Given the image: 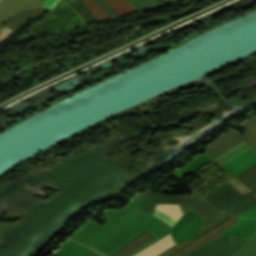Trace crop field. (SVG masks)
Wrapping results in <instances>:
<instances>
[{"label":"crop field","instance_id":"ac0d7876","mask_svg":"<svg viewBox=\"0 0 256 256\" xmlns=\"http://www.w3.org/2000/svg\"><path fill=\"white\" fill-rule=\"evenodd\" d=\"M179 205L182 210V213H185L191 208L198 211L204 222L220 213V211L215 210L210 204L205 202L203 199L193 194L180 196Z\"/></svg>","mask_w":256,"mask_h":256},{"label":"crop field","instance_id":"e52e79f7","mask_svg":"<svg viewBox=\"0 0 256 256\" xmlns=\"http://www.w3.org/2000/svg\"><path fill=\"white\" fill-rule=\"evenodd\" d=\"M238 215H242V216H245V217H248V218H254L256 219V206L249 209V210H246Z\"/></svg>","mask_w":256,"mask_h":256},{"label":"crop field","instance_id":"34b2d1b8","mask_svg":"<svg viewBox=\"0 0 256 256\" xmlns=\"http://www.w3.org/2000/svg\"><path fill=\"white\" fill-rule=\"evenodd\" d=\"M165 237V236H164ZM160 240V239H159ZM191 241H188V240H183L181 242H179L178 244L177 243H174L173 239L171 238L170 234H168L165 238L161 239L160 241L158 242H154L155 244L145 248L144 250L140 251L139 253L135 254L134 256H158L161 254L160 256H169L171 253H173L174 251H176L177 249H179L180 247L186 245L187 243H189ZM181 249V248H180Z\"/></svg>","mask_w":256,"mask_h":256},{"label":"crop field","instance_id":"d8731c3e","mask_svg":"<svg viewBox=\"0 0 256 256\" xmlns=\"http://www.w3.org/2000/svg\"><path fill=\"white\" fill-rule=\"evenodd\" d=\"M247 219L246 218H243L241 220H239L233 227H231L230 229L226 230L225 232H223L222 234H220L219 237H221L222 235L228 233V232H231L235 229H237L242 223H244Z\"/></svg>","mask_w":256,"mask_h":256},{"label":"crop field","instance_id":"8a807250","mask_svg":"<svg viewBox=\"0 0 256 256\" xmlns=\"http://www.w3.org/2000/svg\"><path fill=\"white\" fill-rule=\"evenodd\" d=\"M242 125L246 129L244 138L239 133L230 130L212 143L205 153L215 159L244 140L256 150V116Z\"/></svg>","mask_w":256,"mask_h":256},{"label":"crop field","instance_id":"412701ff","mask_svg":"<svg viewBox=\"0 0 256 256\" xmlns=\"http://www.w3.org/2000/svg\"><path fill=\"white\" fill-rule=\"evenodd\" d=\"M152 215L162 219L172 227L182 213L178 204H157Z\"/></svg>","mask_w":256,"mask_h":256},{"label":"crop field","instance_id":"5a996713","mask_svg":"<svg viewBox=\"0 0 256 256\" xmlns=\"http://www.w3.org/2000/svg\"><path fill=\"white\" fill-rule=\"evenodd\" d=\"M253 256H256V253Z\"/></svg>","mask_w":256,"mask_h":256},{"label":"crop field","instance_id":"dd49c442","mask_svg":"<svg viewBox=\"0 0 256 256\" xmlns=\"http://www.w3.org/2000/svg\"><path fill=\"white\" fill-rule=\"evenodd\" d=\"M255 251L256 233L233 256H252Z\"/></svg>","mask_w":256,"mask_h":256},{"label":"crop field","instance_id":"f4fd0767","mask_svg":"<svg viewBox=\"0 0 256 256\" xmlns=\"http://www.w3.org/2000/svg\"><path fill=\"white\" fill-rule=\"evenodd\" d=\"M152 239L154 238H152L150 235H148L145 232L111 256H128L129 254H131L132 252H134L144 244L148 243Z\"/></svg>","mask_w":256,"mask_h":256}]
</instances>
